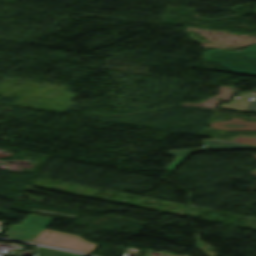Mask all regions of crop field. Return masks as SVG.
<instances>
[{
  "instance_id": "1",
  "label": "crop field",
  "mask_w": 256,
  "mask_h": 256,
  "mask_svg": "<svg viewBox=\"0 0 256 256\" xmlns=\"http://www.w3.org/2000/svg\"><path fill=\"white\" fill-rule=\"evenodd\" d=\"M204 55L206 59L221 62L236 73L256 76V45L242 52L208 50Z\"/></svg>"
},
{
  "instance_id": "2",
  "label": "crop field",
  "mask_w": 256,
  "mask_h": 256,
  "mask_svg": "<svg viewBox=\"0 0 256 256\" xmlns=\"http://www.w3.org/2000/svg\"><path fill=\"white\" fill-rule=\"evenodd\" d=\"M33 242L87 253L97 246L80 236L47 229H44Z\"/></svg>"
},
{
  "instance_id": "3",
  "label": "crop field",
  "mask_w": 256,
  "mask_h": 256,
  "mask_svg": "<svg viewBox=\"0 0 256 256\" xmlns=\"http://www.w3.org/2000/svg\"><path fill=\"white\" fill-rule=\"evenodd\" d=\"M51 221L52 218L30 214L20 225H13L7 233L11 238L32 242Z\"/></svg>"
},
{
  "instance_id": "4",
  "label": "crop field",
  "mask_w": 256,
  "mask_h": 256,
  "mask_svg": "<svg viewBox=\"0 0 256 256\" xmlns=\"http://www.w3.org/2000/svg\"><path fill=\"white\" fill-rule=\"evenodd\" d=\"M210 126L222 130H256V122H247L240 118H233L230 121L213 122Z\"/></svg>"
},
{
  "instance_id": "5",
  "label": "crop field",
  "mask_w": 256,
  "mask_h": 256,
  "mask_svg": "<svg viewBox=\"0 0 256 256\" xmlns=\"http://www.w3.org/2000/svg\"><path fill=\"white\" fill-rule=\"evenodd\" d=\"M35 251H36L35 256H75L71 253L50 249V248H44V247H39Z\"/></svg>"
},
{
  "instance_id": "6",
  "label": "crop field",
  "mask_w": 256,
  "mask_h": 256,
  "mask_svg": "<svg viewBox=\"0 0 256 256\" xmlns=\"http://www.w3.org/2000/svg\"><path fill=\"white\" fill-rule=\"evenodd\" d=\"M233 141L256 145V139L255 138L238 137V138L233 139Z\"/></svg>"
},
{
  "instance_id": "7",
  "label": "crop field",
  "mask_w": 256,
  "mask_h": 256,
  "mask_svg": "<svg viewBox=\"0 0 256 256\" xmlns=\"http://www.w3.org/2000/svg\"><path fill=\"white\" fill-rule=\"evenodd\" d=\"M244 111H256V98L246 107Z\"/></svg>"
}]
</instances>
